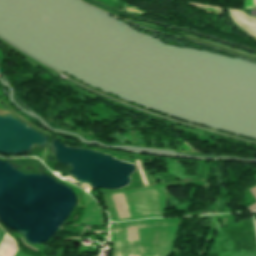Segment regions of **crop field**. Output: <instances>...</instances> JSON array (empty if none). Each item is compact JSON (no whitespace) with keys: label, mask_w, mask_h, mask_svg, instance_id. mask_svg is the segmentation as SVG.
<instances>
[{"label":"crop field","mask_w":256,"mask_h":256,"mask_svg":"<svg viewBox=\"0 0 256 256\" xmlns=\"http://www.w3.org/2000/svg\"><path fill=\"white\" fill-rule=\"evenodd\" d=\"M20 239H21V238H20ZM22 242H23V241H22ZM23 244H24V246H25V247H27V248H29V249H32V250H35V251H36V249L29 247V246H28V245H26L24 242H23Z\"/></svg>","instance_id":"obj_7"},{"label":"crop field","mask_w":256,"mask_h":256,"mask_svg":"<svg viewBox=\"0 0 256 256\" xmlns=\"http://www.w3.org/2000/svg\"><path fill=\"white\" fill-rule=\"evenodd\" d=\"M250 191L252 192V194H253V195L255 196V198H256V187L250 189ZM248 209H249L250 211H256V203L253 204L252 206L248 207Z\"/></svg>","instance_id":"obj_6"},{"label":"crop field","mask_w":256,"mask_h":256,"mask_svg":"<svg viewBox=\"0 0 256 256\" xmlns=\"http://www.w3.org/2000/svg\"><path fill=\"white\" fill-rule=\"evenodd\" d=\"M15 250L16 243L14 239L5 234L3 240L0 243V256H13Z\"/></svg>","instance_id":"obj_1"},{"label":"crop field","mask_w":256,"mask_h":256,"mask_svg":"<svg viewBox=\"0 0 256 256\" xmlns=\"http://www.w3.org/2000/svg\"><path fill=\"white\" fill-rule=\"evenodd\" d=\"M113 197H114L118 217L119 218L129 217L125 199H124V195L123 194L115 195Z\"/></svg>","instance_id":"obj_2"},{"label":"crop field","mask_w":256,"mask_h":256,"mask_svg":"<svg viewBox=\"0 0 256 256\" xmlns=\"http://www.w3.org/2000/svg\"><path fill=\"white\" fill-rule=\"evenodd\" d=\"M229 16H230L231 20L233 22H235L238 26H240L245 33H247L250 36L256 37V27L244 23L243 21L234 17L230 12H229Z\"/></svg>","instance_id":"obj_3"},{"label":"crop field","mask_w":256,"mask_h":256,"mask_svg":"<svg viewBox=\"0 0 256 256\" xmlns=\"http://www.w3.org/2000/svg\"><path fill=\"white\" fill-rule=\"evenodd\" d=\"M230 11H232L235 15H237L242 20H244V21H246V22L256 26V17H252V16L248 15L243 10L230 9Z\"/></svg>","instance_id":"obj_4"},{"label":"crop field","mask_w":256,"mask_h":256,"mask_svg":"<svg viewBox=\"0 0 256 256\" xmlns=\"http://www.w3.org/2000/svg\"><path fill=\"white\" fill-rule=\"evenodd\" d=\"M127 231H128L129 239L140 238L137 227L127 228ZM128 256H138V255H128Z\"/></svg>","instance_id":"obj_5"},{"label":"crop field","mask_w":256,"mask_h":256,"mask_svg":"<svg viewBox=\"0 0 256 256\" xmlns=\"http://www.w3.org/2000/svg\"><path fill=\"white\" fill-rule=\"evenodd\" d=\"M4 232V231H3ZM1 230H0V241H1V239H2V237H3V235H4V233H3Z\"/></svg>","instance_id":"obj_8"},{"label":"crop field","mask_w":256,"mask_h":256,"mask_svg":"<svg viewBox=\"0 0 256 256\" xmlns=\"http://www.w3.org/2000/svg\"><path fill=\"white\" fill-rule=\"evenodd\" d=\"M254 5H256V0H254Z\"/></svg>","instance_id":"obj_9"},{"label":"crop field","mask_w":256,"mask_h":256,"mask_svg":"<svg viewBox=\"0 0 256 256\" xmlns=\"http://www.w3.org/2000/svg\"><path fill=\"white\" fill-rule=\"evenodd\" d=\"M255 223H256V221H255Z\"/></svg>","instance_id":"obj_10"}]
</instances>
